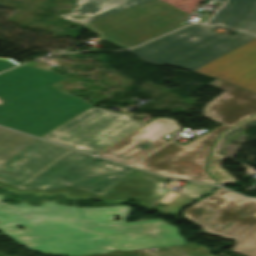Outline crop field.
<instances>
[{
    "label": "crop field",
    "mask_w": 256,
    "mask_h": 256,
    "mask_svg": "<svg viewBox=\"0 0 256 256\" xmlns=\"http://www.w3.org/2000/svg\"><path fill=\"white\" fill-rule=\"evenodd\" d=\"M224 157L211 154L209 157L208 171L220 183L227 184L236 182L233 175L220 167V161Z\"/></svg>",
    "instance_id": "obj_16"
},
{
    "label": "crop field",
    "mask_w": 256,
    "mask_h": 256,
    "mask_svg": "<svg viewBox=\"0 0 256 256\" xmlns=\"http://www.w3.org/2000/svg\"><path fill=\"white\" fill-rule=\"evenodd\" d=\"M16 65L18 64L11 60L0 59V72Z\"/></svg>",
    "instance_id": "obj_18"
},
{
    "label": "crop field",
    "mask_w": 256,
    "mask_h": 256,
    "mask_svg": "<svg viewBox=\"0 0 256 256\" xmlns=\"http://www.w3.org/2000/svg\"><path fill=\"white\" fill-rule=\"evenodd\" d=\"M130 212L128 206L76 208L54 201L41 206L0 201V231L25 248L54 256L184 244L178 229L161 219L126 223ZM115 216L121 221L114 222Z\"/></svg>",
    "instance_id": "obj_1"
},
{
    "label": "crop field",
    "mask_w": 256,
    "mask_h": 256,
    "mask_svg": "<svg viewBox=\"0 0 256 256\" xmlns=\"http://www.w3.org/2000/svg\"><path fill=\"white\" fill-rule=\"evenodd\" d=\"M213 27L190 25L157 40L129 50L147 63L195 70L204 64L256 39L237 32L232 37L210 32Z\"/></svg>",
    "instance_id": "obj_4"
},
{
    "label": "crop field",
    "mask_w": 256,
    "mask_h": 256,
    "mask_svg": "<svg viewBox=\"0 0 256 256\" xmlns=\"http://www.w3.org/2000/svg\"><path fill=\"white\" fill-rule=\"evenodd\" d=\"M177 126L174 119L156 118L98 155L131 165L166 144L161 138Z\"/></svg>",
    "instance_id": "obj_9"
},
{
    "label": "crop field",
    "mask_w": 256,
    "mask_h": 256,
    "mask_svg": "<svg viewBox=\"0 0 256 256\" xmlns=\"http://www.w3.org/2000/svg\"><path fill=\"white\" fill-rule=\"evenodd\" d=\"M182 214L195 226H202L201 233L236 240L230 251L256 256V200L218 187L213 194L197 201Z\"/></svg>",
    "instance_id": "obj_5"
},
{
    "label": "crop field",
    "mask_w": 256,
    "mask_h": 256,
    "mask_svg": "<svg viewBox=\"0 0 256 256\" xmlns=\"http://www.w3.org/2000/svg\"><path fill=\"white\" fill-rule=\"evenodd\" d=\"M207 158L170 142L135 167L180 179L217 184L206 172Z\"/></svg>",
    "instance_id": "obj_8"
},
{
    "label": "crop field",
    "mask_w": 256,
    "mask_h": 256,
    "mask_svg": "<svg viewBox=\"0 0 256 256\" xmlns=\"http://www.w3.org/2000/svg\"><path fill=\"white\" fill-rule=\"evenodd\" d=\"M141 125L125 113L92 107L41 138L96 154Z\"/></svg>",
    "instance_id": "obj_7"
},
{
    "label": "crop field",
    "mask_w": 256,
    "mask_h": 256,
    "mask_svg": "<svg viewBox=\"0 0 256 256\" xmlns=\"http://www.w3.org/2000/svg\"><path fill=\"white\" fill-rule=\"evenodd\" d=\"M63 79L26 65L0 74V125L40 137L93 106L53 86Z\"/></svg>",
    "instance_id": "obj_3"
},
{
    "label": "crop field",
    "mask_w": 256,
    "mask_h": 256,
    "mask_svg": "<svg viewBox=\"0 0 256 256\" xmlns=\"http://www.w3.org/2000/svg\"><path fill=\"white\" fill-rule=\"evenodd\" d=\"M36 138L0 128V165Z\"/></svg>",
    "instance_id": "obj_14"
},
{
    "label": "crop field",
    "mask_w": 256,
    "mask_h": 256,
    "mask_svg": "<svg viewBox=\"0 0 256 256\" xmlns=\"http://www.w3.org/2000/svg\"><path fill=\"white\" fill-rule=\"evenodd\" d=\"M189 16L160 0H154L83 28L126 49L187 24L184 21Z\"/></svg>",
    "instance_id": "obj_6"
},
{
    "label": "crop field",
    "mask_w": 256,
    "mask_h": 256,
    "mask_svg": "<svg viewBox=\"0 0 256 256\" xmlns=\"http://www.w3.org/2000/svg\"><path fill=\"white\" fill-rule=\"evenodd\" d=\"M247 126H256V117H254V118H252L251 120L245 122L244 124L240 125V126L237 127L236 129H234V130H232V131H230V132L224 134V135L221 137V139H220V141H219V143H218V145H217V147H216L214 153H216V154L221 153L222 150H223V146H224L226 140H227L229 137L233 136L234 134H236V133H238V132H240V131L246 129Z\"/></svg>",
    "instance_id": "obj_17"
},
{
    "label": "crop field",
    "mask_w": 256,
    "mask_h": 256,
    "mask_svg": "<svg viewBox=\"0 0 256 256\" xmlns=\"http://www.w3.org/2000/svg\"><path fill=\"white\" fill-rule=\"evenodd\" d=\"M2 235H4V234H0V236H2Z\"/></svg>",
    "instance_id": "obj_20"
},
{
    "label": "crop field",
    "mask_w": 256,
    "mask_h": 256,
    "mask_svg": "<svg viewBox=\"0 0 256 256\" xmlns=\"http://www.w3.org/2000/svg\"><path fill=\"white\" fill-rule=\"evenodd\" d=\"M210 85L226 92L203 108L204 116L232 127L256 113V94L219 80Z\"/></svg>",
    "instance_id": "obj_11"
},
{
    "label": "crop field",
    "mask_w": 256,
    "mask_h": 256,
    "mask_svg": "<svg viewBox=\"0 0 256 256\" xmlns=\"http://www.w3.org/2000/svg\"><path fill=\"white\" fill-rule=\"evenodd\" d=\"M229 128L230 127L222 125L216 129L208 132L207 134L197 138V140L194 143L187 144L183 147H186L192 151H195L199 154H202V155L208 157L209 152L216 140L217 135L224 132L225 130H227ZM172 142H174V141H172ZM174 143H176V142H174ZM176 144H178V143H176Z\"/></svg>",
    "instance_id": "obj_15"
},
{
    "label": "crop field",
    "mask_w": 256,
    "mask_h": 256,
    "mask_svg": "<svg viewBox=\"0 0 256 256\" xmlns=\"http://www.w3.org/2000/svg\"><path fill=\"white\" fill-rule=\"evenodd\" d=\"M132 170L37 139L0 166V187L100 199Z\"/></svg>",
    "instance_id": "obj_2"
},
{
    "label": "crop field",
    "mask_w": 256,
    "mask_h": 256,
    "mask_svg": "<svg viewBox=\"0 0 256 256\" xmlns=\"http://www.w3.org/2000/svg\"><path fill=\"white\" fill-rule=\"evenodd\" d=\"M256 93V40L195 70Z\"/></svg>",
    "instance_id": "obj_10"
},
{
    "label": "crop field",
    "mask_w": 256,
    "mask_h": 256,
    "mask_svg": "<svg viewBox=\"0 0 256 256\" xmlns=\"http://www.w3.org/2000/svg\"><path fill=\"white\" fill-rule=\"evenodd\" d=\"M149 1L151 0H78L76 1L78 7L73 9V12L63 15H82L85 18L79 21L89 23Z\"/></svg>",
    "instance_id": "obj_13"
},
{
    "label": "crop field",
    "mask_w": 256,
    "mask_h": 256,
    "mask_svg": "<svg viewBox=\"0 0 256 256\" xmlns=\"http://www.w3.org/2000/svg\"><path fill=\"white\" fill-rule=\"evenodd\" d=\"M211 16H212V14L204 13L197 21L200 22V23H204V22H206Z\"/></svg>",
    "instance_id": "obj_19"
},
{
    "label": "crop field",
    "mask_w": 256,
    "mask_h": 256,
    "mask_svg": "<svg viewBox=\"0 0 256 256\" xmlns=\"http://www.w3.org/2000/svg\"><path fill=\"white\" fill-rule=\"evenodd\" d=\"M208 24L256 34V0H227Z\"/></svg>",
    "instance_id": "obj_12"
},
{
    "label": "crop field",
    "mask_w": 256,
    "mask_h": 256,
    "mask_svg": "<svg viewBox=\"0 0 256 256\" xmlns=\"http://www.w3.org/2000/svg\"><path fill=\"white\" fill-rule=\"evenodd\" d=\"M221 1H224V0H221Z\"/></svg>",
    "instance_id": "obj_21"
}]
</instances>
